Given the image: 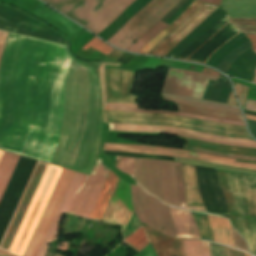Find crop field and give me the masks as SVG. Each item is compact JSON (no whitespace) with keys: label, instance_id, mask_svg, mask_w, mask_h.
I'll use <instances>...</instances> for the list:
<instances>
[{"label":"crop field","instance_id":"25","mask_svg":"<svg viewBox=\"0 0 256 256\" xmlns=\"http://www.w3.org/2000/svg\"><path fill=\"white\" fill-rule=\"evenodd\" d=\"M217 171H218L219 179L222 184V187H223V190L225 193V197L227 200L231 224L239 232L238 225H237V219H236V213H235L233 195H232V191H231V188H230L228 180H227L226 171L219 170V169H217Z\"/></svg>","mask_w":256,"mask_h":256},{"label":"crop field","instance_id":"49","mask_svg":"<svg viewBox=\"0 0 256 256\" xmlns=\"http://www.w3.org/2000/svg\"><path fill=\"white\" fill-rule=\"evenodd\" d=\"M199 1L204 2V3H211V4L219 5L221 0H199Z\"/></svg>","mask_w":256,"mask_h":256},{"label":"crop field","instance_id":"10","mask_svg":"<svg viewBox=\"0 0 256 256\" xmlns=\"http://www.w3.org/2000/svg\"><path fill=\"white\" fill-rule=\"evenodd\" d=\"M103 150L168 155V156L193 159V160H199V161L256 170V164L238 163V162H234L235 159H231V158L219 157V156L181 150V149L106 143Z\"/></svg>","mask_w":256,"mask_h":256},{"label":"crop field","instance_id":"19","mask_svg":"<svg viewBox=\"0 0 256 256\" xmlns=\"http://www.w3.org/2000/svg\"><path fill=\"white\" fill-rule=\"evenodd\" d=\"M182 167L185 196L188 205L204 206L198 191L194 166L182 163Z\"/></svg>","mask_w":256,"mask_h":256},{"label":"crop field","instance_id":"12","mask_svg":"<svg viewBox=\"0 0 256 256\" xmlns=\"http://www.w3.org/2000/svg\"><path fill=\"white\" fill-rule=\"evenodd\" d=\"M47 165V163L37 162L8 229L3 237L0 248L7 251L9 250Z\"/></svg>","mask_w":256,"mask_h":256},{"label":"crop field","instance_id":"22","mask_svg":"<svg viewBox=\"0 0 256 256\" xmlns=\"http://www.w3.org/2000/svg\"><path fill=\"white\" fill-rule=\"evenodd\" d=\"M136 73L134 71L118 69V67L106 66L107 86H133Z\"/></svg>","mask_w":256,"mask_h":256},{"label":"crop field","instance_id":"15","mask_svg":"<svg viewBox=\"0 0 256 256\" xmlns=\"http://www.w3.org/2000/svg\"><path fill=\"white\" fill-rule=\"evenodd\" d=\"M144 228L157 256H184L182 240Z\"/></svg>","mask_w":256,"mask_h":256},{"label":"crop field","instance_id":"6","mask_svg":"<svg viewBox=\"0 0 256 256\" xmlns=\"http://www.w3.org/2000/svg\"><path fill=\"white\" fill-rule=\"evenodd\" d=\"M61 170V168L48 165L9 250L10 252L23 256Z\"/></svg>","mask_w":256,"mask_h":256},{"label":"crop field","instance_id":"42","mask_svg":"<svg viewBox=\"0 0 256 256\" xmlns=\"http://www.w3.org/2000/svg\"><path fill=\"white\" fill-rule=\"evenodd\" d=\"M106 106L138 108L137 104L128 103H107Z\"/></svg>","mask_w":256,"mask_h":256},{"label":"crop field","instance_id":"43","mask_svg":"<svg viewBox=\"0 0 256 256\" xmlns=\"http://www.w3.org/2000/svg\"><path fill=\"white\" fill-rule=\"evenodd\" d=\"M244 109L256 112V101L247 99Z\"/></svg>","mask_w":256,"mask_h":256},{"label":"crop field","instance_id":"30","mask_svg":"<svg viewBox=\"0 0 256 256\" xmlns=\"http://www.w3.org/2000/svg\"><path fill=\"white\" fill-rule=\"evenodd\" d=\"M251 48V43L250 41L244 43L243 45L237 47L234 49L232 52H230L227 56H225L222 61L219 63L217 66V69L222 71L223 73L226 74L228 69L230 68L232 62L244 51L247 49Z\"/></svg>","mask_w":256,"mask_h":256},{"label":"crop field","instance_id":"46","mask_svg":"<svg viewBox=\"0 0 256 256\" xmlns=\"http://www.w3.org/2000/svg\"><path fill=\"white\" fill-rule=\"evenodd\" d=\"M230 250H235V249L230 248ZM235 251H238V250H235ZM235 251H230V256H243L242 253H244V252L238 253V252H235ZM239 252H241V251H239ZM244 256H249V255L247 253H244Z\"/></svg>","mask_w":256,"mask_h":256},{"label":"crop field","instance_id":"14","mask_svg":"<svg viewBox=\"0 0 256 256\" xmlns=\"http://www.w3.org/2000/svg\"><path fill=\"white\" fill-rule=\"evenodd\" d=\"M216 8H218V6L204 4L201 9L183 27H181L178 31L166 39L152 54L164 56Z\"/></svg>","mask_w":256,"mask_h":256},{"label":"crop field","instance_id":"4","mask_svg":"<svg viewBox=\"0 0 256 256\" xmlns=\"http://www.w3.org/2000/svg\"><path fill=\"white\" fill-rule=\"evenodd\" d=\"M108 121L113 123H138L188 128L232 137L252 139L242 126L221 124L164 113H133L106 111Z\"/></svg>","mask_w":256,"mask_h":256},{"label":"crop field","instance_id":"9","mask_svg":"<svg viewBox=\"0 0 256 256\" xmlns=\"http://www.w3.org/2000/svg\"><path fill=\"white\" fill-rule=\"evenodd\" d=\"M75 172L63 169L24 256H36Z\"/></svg>","mask_w":256,"mask_h":256},{"label":"crop field","instance_id":"33","mask_svg":"<svg viewBox=\"0 0 256 256\" xmlns=\"http://www.w3.org/2000/svg\"><path fill=\"white\" fill-rule=\"evenodd\" d=\"M116 168L131 175L135 180V158L117 157Z\"/></svg>","mask_w":256,"mask_h":256},{"label":"crop field","instance_id":"21","mask_svg":"<svg viewBox=\"0 0 256 256\" xmlns=\"http://www.w3.org/2000/svg\"><path fill=\"white\" fill-rule=\"evenodd\" d=\"M212 230L213 239L233 247L232 231L229 221L225 218L207 215Z\"/></svg>","mask_w":256,"mask_h":256},{"label":"crop field","instance_id":"5","mask_svg":"<svg viewBox=\"0 0 256 256\" xmlns=\"http://www.w3.org/2000/svg\"><path fill=\"white\" fill-rule=\"evenodd\" d=\"M227 174L234 195L240 233L256 256V175L229 171Z\"/></svg>","mask_w":256,"mask_h":256},{"label":"crop field","instance_id":"1","mask_svg":"<svg viewBox=\"0 0 256 256\" xmlns=\"http://www.w3.org/2000/svg\"><path fill=\"white\" fill-rule=\"evenodd\" d=\"M9 33L0 31V58ZM73 55L10 33L0 65V149L50 163Z\"/></svg>","mask_w":256,"mask_h":256},{"label":"crop field","instance_id":"34","mask_svg":"<svg viewBox=\"0 0 256 256\" xmlns=\"http://www.w3.org/2000/svg\"><path fill=\"white\" fill-rule=\"evenodd\" d=\"M233 20L244 32V34H256V19H233Z\"/></svg>","mask_w":256,"mask_h":256},{"label":"crop field","instance_id":"7","mask_svg":"<svg viewBox=\"0 0 256 256\" xmlns=\"http://www.w3.org/2000/svg\"><path fill=\"white\" fill-rule=\"evenodd\" d=\"M179 1L151 0L107 42L126 50L133 39L136 40Z\"/></svg>","mask_w":256,"mask_h":256},{"label":"crop field","instance_id":"3","mask_svg":"<svg viewBox=\"0 0 256 256\" xmlns=\"http://www.w3.org/2000/svg\"><path fill=\"white\" fill-rule=\"evenodd\" d=\"M99 34L135 0H43Z\"/></svg>","mask_w":256,"mask_h":256},{"label":"crop field","instance_id":"55","mask_svg":"<svg viewBox=\"0 0 256 256\" xmlns=\"http://www.w3.org/2000/svg\"><path fill=\"white\" fill-rule=\"evenodd\" d=\"M2 153H3V152H2V151H0V157H1Z\"/></svg>","mask_w":256,"mask_h":256},{"label":"crop field","instance_id":"41","mask_svg":"<svg viewBox=\"0 0 256 256\" xmlns=\"http://www.w3.org/2000/svg\"><path fill=\"white\" fill-rule=\"evenodd\" d=\"M123 54V52L114 49L105 59H103L102 61L104 62H111V63H115L119 57Z\"/></svg>","mask_w":256,"mask_h":256},{"label":"crop field","instance_id":"37","mask_svg":"<svg viewBox=\"0 0 256 256\" xmlns=\"http://www.w3.org/2000/svg\"><path fill=\"white\" fill-rule=\"evenodd\" d=\"M89 46L105 53V54H109L110 51L113 49L110 46H108L107 44H105L104 42H102L101 40H99L98 38H94L92 39L89 43H87L83 48H88Z\"/></svg>","mask_w":256,"mask_h":256},{"label":"crop field","instance_id":"51","mask_svg":"<svg viewBox=\"0 0 256 256\" xmlns=\"http://www.w3.org/2000/svg\"><path fill=\"white\" fill-rule=\"evenodd\" d=\"M241 87H242V85H240L238 83H235V85H234V88H235L236 93H237L238 96H239V92H240Z\"/></svg>","mask_w":256,"mask_h":256},{"label":"crop field","instance_id":"20","mask_svg":"<svg viewBox=\"0 0 256 256\" xmlns=\"http://www.w3.org/2000/svg\"><path fill=\"white\" fill-rule=\"evenodd\" d=\"M179 139L187 141L186 145L188 146L256 157V149L229 146V145L217 144V143L200 141V140L183 138V137H179Z\"/></svg>","mask_w":256,"mask_h":256},{"label":"crop field","instance_id":"18","mask_svg":"<svg viewBox=\"0 0 256 256\" xmlns=\"http://www.w3.org/2000/svg\"><path fill=\"white\" fill-rule=\"evenodd\" d=\"M120 178L110 171L88 218L101 219Z\"/></svg>","mask_w":256,"mask_h":256},{"label":"crop field","instance_id":"23","mask_svg":"<svg viewBox=\"0 0 256 256\" xmlns=\"http://www.w3.org/2000/svg\"><path fill=\"white\" fill-rule=\"evenodd\" d=\"M177 105L179 107V111H181V112L195 114V115H201V116H207V117H213V118H220V119L244 122L242 116L239 114H233V113L216 111V110L199 108V107L186 106V105H181V104H177Z\"/></svg>","mask_w":256,"mask_h":256},{"label":"crop field","instance_id":"11","mask_svg":"<svg viewBox=\"0 0 256 256\" xmlns=\"http://www.w3.org/2000/svg\"><path fill=\"white\" fill-rule=\"evenodd\" d=\"M109 131H137V132H152V133H168V134L180 135V136L191 137V138L207 140L212 142L256 148V142L254 140L224 137V136L196 132V131H191V130L182 129V128H175V127L109 123Z\"/></svg>","mask_w":256,"mask_h":256},{"label":"crop field","instance_id":"44","mask_svg":"<svg viewBox=\"0 0 256 256\" xmlns=\"http://www.w3.org/2000/svg\"><path fill=\"white\" fill-rule=\"evenodd\" d=\"M248 89H249L248 87L243 86V88H242V90H241L239 100H240V102H241L242 105H244V101H245V98H246Z\"/></svg>","mask_w":256,"mask_h":256},{"label":"crop field","instance_id":"40","mask_svg":"<svg viewBox=\"0 0 256 256\" xmlns=\"http://www.w3.org/2000/svg\"><path fill=\"white\" fill-rule=\"evenodd\" d=\"M160 100L171 101V102H178V103H184V104H189V105H195V106H200V107H205V108H211V109H216V110H222V111H228V112H233V113H239V114H241L240 111H239V110H236V109L215 107V106H209V105H203V104H197V103H190V102H183V101H177V100H170V99H164V98H161Z\"/></svg>","mask_w":256,"mask_h":256},{"label":"crop field","instance_id":"39","mask_svg":"<svg viewBox=\"0 0 256 256\" xmlns=\"http://www.w3.org/2000/svg\"><path fill=\"white\" fill-rule=\"evenodd\" d=\"M211 256H229V247L210 242Z\"/></svg>","mask_w":256,"mask_h":256},{"label":"crop field","instance_id":"13","mask_svg":"<svg viewBox=\"0 0 256 256\" xmlns=\"http://www.w3.org/2000/svg\"><path fill=\"white\" fill-rule=\"evenodd\" d=\"M133 214L129 184L120 180L101 220L122 226L123 232Z\"/></svg>","mask_w":256,"mask_h":256},{"label":"crop field","instance_id":"38","mask_svg":"<svg viewBox=\"0 0 256 256\" xmlns=\"http://www.w3.org/2000/svg\"><path fill=\"white\" fill-rule=\"evenodd\" d=\"M185 149L193 150V151H199V152H204V153H209V154H214V155H220V156H225V157H231V158H237V159H244V160L256 161V158H253V157L238 156V155L227 154V153H221V152H215V151H209V150H204V149H199V148H193V147H188V146H186Z\"/></svg>","mask_w":256,"mask_h":256},{"label":"crop field","instance_id":"24","mask_svg":"<svg viewBox=\"0 0 256 256\" xmlns=\"http://www.w3.org/2000/svg\"><path fill=\"white\" fill-rule=\"evenodd\" d=\"M20 156L4 152L0 159V198Z\"/></svg>","mask_w":256,"mask_h":256},{"label":"crop field","instance_id":"48","mask_svg":"<svg viewBox=\"0 0 256 256\" xmlns=\"http://www.w3.org/2000/svg\"><path fill=\"white\" fill-rule=\"evenodd\" d=\"M226 16H227V15H226ZM227 18L230 20V18H229L228 16H227ZM230 21H231V20H230ZM231 22H232V21H231ZM232 23H233V22H232ZM233 24H234V23H233ZM234 26L237 28V26H236L235 24H234ZM237 29H238V28H237ZM238 31L241 32L239 29H238ZM215 33H216V32H215ZM215 33H214V34H215ZM214 34H213V35H214ZM206 41H207V40H206ZM206 41H205V42H206ZM205 42H204V43H205ZM204 43H203V44H204ZM224 44H225V43H224ZM224 44H223V45H224ZM220 47H221V46H220ZM220 47H219V48H220ZM219 48H218V49H219ZM197 49H198V48H197ZM197 49H196V50H197ZM196 50H195V51H196ZM216 50H217V49H216ZM216 50H215V51H216ZM195 51H194V52H195ZM215 51H214V52H215ZM194 52H193V53H194ZM214 52H213V53H214ZM193 53H192V54H193ZM213 53H212V54H213ZM212 54H211V55H212ZM211 55H210V56H211ZM189 56H190V55H189ZM189 56H188V57H189ZM210 56H209V57H210ZM188 57H187V58H188ZM187 58H186V59H187ZM177 59H179V60H186V59H181V58H177ZM208 59H209V58H208ZM186 61H190V60H186ZM194 62H196V61H194ZM200 63H202V62H200ZM204 64H206V63H204Z\"/></svg>","mask_w":256,"mask_h":256},{"label":"crop field","instance_id":"56","mask_svg":"<svg viewBox=\"0 0 256 256\" xmlns=\"http://www.w3.org/2000/svg\"><path fill=\"white\" fill-rule=\"evenodd\" d=\"M256 52V50H254Z\"/></svg>","mask_w":256,"mask_h":256},{"label":"crop field","instance_id":"45","mask_svg":"<svg viewBox=\"0 0 256 256\" xmlns=\"http://www.w3.org/2000/svg\"><path fill=\"white\" fill-rule=\"evenodd\" d=\"M247 121H248L252 135L256 138V122L249 121V120H247Z\"/></svg>","mask_w":256,"mask_h":256},{"label":"crop field","instance_id":"52","mask_svg":"<svg viewBox=\"0 0 256 256\" xmlns=\"http://www.w3.org/2000/svg\"><path fill=\"white\" fill-rule=\"evenodd\" d=\"M0 256H13V255L8 254V253L3 252V251L0 250Z\"/></svg>","mask_w":256,"mask_h":256},{"label":"crop field","instance_id":"17","mask_svg":"<svg viewBox=\"0 0 256 256\" xmlns=\"http://www.w3.org/2000/svg\"><path fill=\"white\" fill-rule=\"evenodd\" d=\"M200 4V2L194 1L190 7L180 16L178 17L167 29H165L162 33H160L157 37H155L153 40H151L148 44H146L139 52L141 53H148L156 44L157 42L165 36L167 33H169L171 30H173L175 27H177L179 24H181L186 17ZM203 5L201 3L188 17L187 19L176 29H174L172 32H170L168 35H166L164 38H162L159 43L148 53L151 54L166 38H168L171 34H173L176 30H178L181 26H183Z\"/></svg>","mask_w":256,"mask_h":256},{"label":"crop field","instance_id":"54","mask_svg":"<svg viewBox=\"0 0 256 256\" xmlns=\"http://www.w3.org/2000/svg\"><path fill=\"white\" fill-rule=\"evenodd\" d=\"M254 83L256 84V75H255Z\"/></svg>","mask_w":256,"mask_h":256},{"label":"crop field","instance_id":"35","mask_svg":"<svg viewBox=\"0 0 256 256\" xmlns=\"http://www.w3.org/2000/svg\"><path fill=\"white\" fill-rule=\"evenodd\" d=\"M176 173H177V181H178V189H179L180 206L183 209L189 210L186 204L185 196H184L181 163L176 162Z\"/></svg>","mask_w":256,"mask_h":256},{"label":"crop field","instance_id":"2","mask_svg":"<svg viewBox=\"0 0 256 256\" xmlns=\"http://www.w3.org/2000/svg\"><path fill=\"white\" fill-rule=\"evenodd\" d=\"M109 170L98 158L90 176L75 173L37 256H44L48 244L57 240L61 217L67 212L83 176L67 213L87 218Z\"/></svg>","mask_w":256,"mask_h":256},{"label":"crop field","instance_id":"28","mask_svg":"<svg viewBox=\"0 0 256 256\" xmlns=\"http://www.w3.org/2000/svg\"><path fill=\"white\" fill-rule=\"evenodd\" d=\"M185 256H210L209 242L201 240H183Z\"/></svg>","mask_w":256,"mask_h":256},{"label":"crop field","instance_id":"16","mask_svg":"<svg viewBox=\"0 0 256 256\" xmlns=\"http://www.w3.org/2000/svg\"><path fill=\"white\" fill-rule=\"evenodd\" d=\"M169 207V206H168ZM177 238L200 239L197 226L189 211L169 207Z\"/></svg>","mask_w":256,"mask_h":256},{"label":"crop field","instance_id":"27","mask_svg":"<svg viewBox=\"0 0 256 256\" xmlns=\"http://www.w3.org/2000/svg\"><path fill=\"white\" fill-rule=\"evenodd\" d=\"M167 26L168 25L158 21L136 40V44L132 43L127 50L138 52L146 43L162 32Z\"/></svg>","mask_w":256,"mask_h":256},{"label":"crop field","instance_id":"26","mask_svg":"<svg viewBox=\"0 0 256 256\" xmlns=\"http://www.w3.org/2000/svg\"><path fill=\"white\" fill-rule=\"evenodd\" d=\"M132 87H107V102L136 103L137 96H132Z\"/></svg>","mask_w":256,"mask_h":256},{"label":"crop field","instance_id":"29","mask_svg":"<svg viewBox=\"0 0 256 256\" xmlns=\"http://www.w3.org/2000/svg\"><path fill=\"white\" fill-rule=\"evenodd\" d=\"M106 110H123V111H133V112H164V113L182 115V116L193 117V118H198V119H204V120H209V121H215V122H221V123H228V124H235V125L245 126V124L241 123V122H234V121L206 118V117L194 116V115H189V114H184V113H179V112H174V111H166V110H146V109H130V108H114V107H107Z\"/></svg>","mask_w":256,"mask_h":256},{"label":"crop field","instance_id":"53","mask_svg":"<svg viewBox=\"0 0 256 256\" xmlns=\"http://www.w3.org/2000/svg\"><path fill=\"white\" fill-rule=\"evenodd\" d=\"M245 115L248 119L256 120V116H251V115H247V114H245Z\"/></svg>","mask_w":256,"mask_h":256},{"label":"crop field","instance_id":"31","mask_svg":"<svg viewBox=\"0 0 256 256\" xmlns=\"http://www.w3.org/2000/svg\"><path fill=\"white\" fill-rule=\"evenodd\" d=\"M125 243L131 245L138 252L142 250L146 245L149 244V240L147 238L144 228L141 226L125 240Z\"/></svg>","mask_w":256,"mask_h":256},{"label":"crop field","instance_id":"36","mask_svg":"<svg viewBox=\"0 0 256 256\" xmlns=\"http://www.w3.org/2000/svg\"><path fill=\"white\" fill-rule=\"evenodd\" d=\"M161 97L239 109L238 106L214 103V102H210V101L198 100V99L188 98V97L174 96V95H170V94H162Z\"/></svg>","mask_w":256,"mask_h":256},{"label":"crop field","instance_id":"32","mask_svg":"<svg viewBox=\"0 0 256 256\" xmlns=\"http://www.w3.org/2000/svg\"><path fill=\"white\" fill-rule=\"evenodd\" d=\"M198 226L201 239L212 240L207 216L201 213L191 212ZM213 241V240H212Z\"/></svg>","mask_w":256,"mask_h":256},{"label":"crop field","instance_id":"8","mask_svg":"<svg viewBox=\"0 0 256 256\" xmlns=\"http://www.w3.org/2000/svg\"><path fill=\"white\" fill-rule=\"evenodd\" d=\"M219 73L204 68L202 73L170 67L160 92L201 99L208 79L217 80Z\"/></svg>","mask_w":256,"mask_h":256},{"label":"crop field","instance_id":"50","mask_svg":"<svg viewBox=\"0 0 256 256\" xmlns=\"http://www.w3.org/2000/svg\"><path fill=\"white\" fill-rule=\"evenodd\" d=\"M227 103L234 104V105L236 104V101H235V98H234V95H233L232 91H231V94H230V97H229Z\"/></svg>","mask_w":256,"mask_h":256},{"label":"crop field","instance_id":"47","mask_svg":"<svg viewBox=\"0 0 256 256\" xmlns=\"http://www.w3.org/2000/svg\"><path fill=\"white\" fill-rule=\"evenodd\" d=\"M246 36L250 39L253 45V49H256V35H246Z\"/></svg>","mask_w":256,"mask_h":256}]
</instances>
